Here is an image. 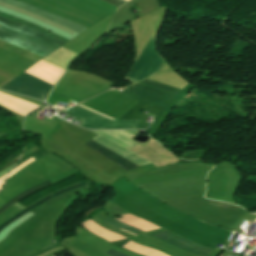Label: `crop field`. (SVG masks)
<instances>
[{
	"label": "crop field",
	"instance_id": "obj_1",
	"mask_svg": "<svg viewBox=\"0 0 256 256\" xmlns=\"http://www.w3.org/2000/svg\"><path fill=\"white\" fill-rule=\"evenodd\" d=\"M180 91L181 89L146 79L118 94L163 107Z\"/></svg>",
	"mask_w": 256,
	"mask_h": 256
},
{
	"label": "crop field",
	"instance_id": "obj_2",
	"mask_svg": "<svg viewBox=\"0 0 256 256\" xmlns=\"http://www.w3.org/2000/svg\"><path fill=\"white\" fill-rule=\"evenodd\" d=\"M0 20L1 21H3V22H6V23H8V24H11V25H13V26H15V27H18V28H20V29H22V30H25V31H27V32H29V33H32V34H34V35H37V36H39V37H41V38H44V39H46V40H48V41H51V42H53V43H56V44H58V45H60V46H62V45H64V43H62V42H60V41H57V40H55V39H53V38H50V37H48V36H45V35H43V34H41V33H38V32H36V31H34V30H31V29H29V28H27V27H24V26H22V25H19V24H17V23H15V22H12V21H10V20H8V19H5V18H3V17H1L0 16ZM0 21V25H2V26H4V27H7V28H9V29H12V30H14V31H17V32H19V33H22V34H24V35H27V36H29V37H31V38H34V39H36V40H39V41H41V42H44V43H46V44H49V45H51V46H54V47H56V48H59L60 46H58V45H56V44H53V43H51V42H48V41H46V40H44V39H41V38H39V37H37V36H34V35H32V34H29V33H27V32H25V31H22V30H20V29H18V28H15V27H13V26H11V25H8V24H6V23H3V22H1ZM2 26H0V29L1 30H4V31H6V32H8V33H11V34H13V35H16V36H18V37H21V38H23V39H26V40H28V41H30V42H33V43H35V44H38V45H40V46H43V47H45V48H47V49H50V50H52V51H54V50H56V48H54V47H51V46H49V45H46V44H44V43H41V42H39V41H36V40H34V39H31V38H29V37H27V36H24V35H22V34H19V33H17V32H14V31H12V30H9V29H7V28H4V27H2ZM0 30V31H1ZM4 31H2V32H4ZM1 32V33H2ZM6 32H4V33H6ZM0 33V34H1ZM3 33V34H4ZM8 33H6V34H8ZM2 34V35H3ZM5 34V35H6ZM11 34H9V35H11ZM2 35H0V39L1 40H3V41H6V42H8V43H11V44H13V45H16V46H18V47H21V48H23V49H26V50H28V51H31V52H33V53H36V54H38V55H41V56H43V57H45V56H47L50 52H52V51H50V50H48V51H50L48 54H46V53H43L45 50H47V49H45V48H43V47H41V48H43V49H45L43 52H41V51H39V50H36L38 47H40V46H38V45H36V46H38L36 49H34V48H31L33 45H35V44H33V43H31V44H33L31 47H29V46H26L28 43H30V42H28V41H26V42H28L26 45H24V44H21V43H19L21 40H23V39H21V38H19V39H21L19 42H17V41H14L16 38H18V37H16V36H14V37H16L14 40H12V39H9L11 36H13V35H11L9 38H7V37H4V36H2ZM25 41V40H24Z\"/></svg>",
	"mask_w": 256,
	"mask_h": 256
},
{
	"label": "crop field",
	"instance_id": "obj_3",
	"mask_svg": "<svg viewBox=\"0 0 256 256\" xmlns=\"http://www.w3.org/2000/svg\"><path fill=\"white\" fill-rule=\"evenodd\" d=\"M81 106V105H79ZM76 106L72 109L65 111L66 113L84 120L83 123L79 126L87 129H139L138 120L134 121H112L106 117H103L95 112L89 111L87 109ZM83 107V106H82ZM91 110V109H90ZM105 116V115H104Z\"/></svg>",
	"mask_w": 256,
	"mask_h": 256
},
{
	"label": "crop field",
	"instance_id": "obj_4",
	"mask_svg": "<svg viewBox=\"0 0 256 256\" xmlns=\"http://www.w3.org/2000/svg\"><path fill=\"white\" fill-rule=\"evenodd\" d=\"M163 63V59L156 52L153 36L132 66L128 78L133 84L139 82L157 72Z\"/></svg>",
	"mask_w": 256,
	"mask_h": 256
},
{
	"label": "crop field",
	"instance_id": "obj_5",
	"mask_svg": "<svg viewBox=\"0 0 256 256\" xmlns=\"http://www.w3.org/2000/svg\"><path fill=\"white\" fill-rule=\"evenodd\" d=\"M51 87L52 84L24 72L1 89L44 100Z\"/></svg>",
	"mask_w": 256,
	"mask_h": 256
},
{
	"label": "crop field",
	"instance_id": "obj_6",
	"mask_svg": "<svg viewBox=\"0 0 256 256\" xmlns=\"http://www.w3.org/2000/svg\"><path fill=\"white\" fill-rule=\"evenodd\" d=\"M0 2L8 4V5L13 6V7H16L20 10L26 11L28 13H31V14L36 15L38 17H41L43 19H46V20H48V21H50L54 24H57V25L62 26L64 28L70 29V30L75 31L77 33H81L83 30L86 29V28H84L80 25H77V24L73 23V22H70L68 20H65L63 18H60V17L52 15V14L46 13V12L41 11L39 9H36V8L30 6V5L21 3L17 0H0Z\"/></svg>",
	"mask_w": 256,
	"mask_h": 256
},
{
	"label": "crop field",
	"instance_id": "obj_7",
	"mask_svg": "<svg viewBox=\"0 0 256 256\" xmlns=\"http://www.w3.org/2000/svg\"><path fill=\"white\" fill-rule=\"evenodd\" d=\"M85 145L89 146L90 148H92L95 151L99 152L100 154L104 155L105 157H107L108 159H110L111 161H113L114 163H116L118 166H120L121 168H123L126 171L138 167V166L134 165L133 163H131L130 161L114 154L113 152H111V151L105 149L104 147L100 146L99 144L93 142L92 140Z\"/></svg>",
	"mask_w": 256,
	"mask_h": 256
},
{
	"label": "crop field",
	"instance_id": "obj_8",
	"mask_svg": "<svg viewBox=\"0 0 256 256\" xmlns=\"http://www.w3.org/2000/svg\"><path fill=\"white\" fill-rule=\"evenodd\" d=\"M48 185H50V182L47 180V181H45V182H43V183H41V184H39V185H37V186H35L33 188H30V189L20 193L19 195H17L16 197L12 198L7 203H5L3 206H1L0 207V213L2 211H4L6 208H8L10 205H12L14 202H16L18 199H20V198H22V197H24V196H26V195L36 191V190H38V189H40L42 187L48 186Z\"/></svg>",
	"mask_w": 256,
	"mask_h": 256
},
{
	"label": "crop field",
	"instance_id": "obj_9",
	"mask_svg": "<svg viewBox=\"0 0 256 256\" xmlns=\"http://www.w3.org/2000/svg\"><path fill=\"white\" fill-rule=\"evenodd\" d=\"M49 199H51V195H49V196L46 197L45 199H43V200H41V201L35 203L34 205L28 207L27 209H25V210L22 211L21 213L15 215L14 217L8 219L6 222H4V223L0 226V231H1L7 224H9L10 222H12V221L15 220L16 218L20 217L21 215H23L24 213H26V212L29 211L30 209H32V208L38 206L39 204H41V203H43V202H45V201H47V200H49Z\"/></svg>",
	"mask_w": 256,
	"mask_h": 256
},
{
	"label": "crop field",
	"instance_id": "obj_10",
	"mask_svg": "<svg viewBox=\"0 0 256 256\" xmlns=\"http://www.w3.org/2000/svg\"><path fill=\"white\" fill-rule=\"evenodd\" d=\"M103 222H105V223H107V224H110V225H112V226H115V227H117V228H119V229L124 228V229L129 230V231H131V232H134V233H136V234L139 233V231H137V230H135V229H133V228H130V227H128V226L122 225V224H120V223H118V222H116V221H114V220H112V219H110V218L104 220ZM124 229H122V230H124ZM126 230H125V231H126ZM129 231H127V232H129ZM131 232H130V233H131ZM134 233H132V234H134ZM136 234H134V235H136Z\"/></svg>",
	"mask_w": 256,
	"mask_h": 256
},
{
	"label": "crop field",
	"instance_id": "obj_11",
	"mask_svg": "<svg viewBox=\"0 0 256 256\" xmlns=\"http://www.w3.org/2000/svg\"><path fill=\"white\" fill-rule=\"evenodd\" d=\"M87 182H88V181H85V182L76 184V185H74V186H71V187H69V188H66V189H64V190L55 192V193H53V197H55V196H57V195H59V194H61V193H64V192H66V191H68V190L75 189V188H78V187H81V186H85V185H89V183H87Z\"/></svg>",
	"mask_w": 256,
	"mask_h": 256
},
{
	"label": "crop field",
	"instance_id": "obj_12",
	"mask_svg": "<svg viewBox=\"0 0 256 256\" xmlns=\"http://www.w3.org/2000/svg\"><path fill=\"white\" fill-rule=\"evenodd\" d=\"M99 1H102V2H104V3H107V4L111 5V6L116 7V8L119 7L120 5H123V4H124V2L121 1V0H111V1H113V2H116V3L120 4V5H118V4H116V3H113V2H111V1H108V0H99Z\"/></svg>",
	"mask_w": 256,
	"mask_h": 256
},
{
	"label": "crop field",
	"instance_id": "obj_13",
	"mask_svg": "<svg viewBox=\"0 0 256 256\" xmlns=\"http://www.w3.org/2000/svg\"><path fill=\"white\" fill-rule=\"evenodd\" d=\"M20 155H21V154H20ZM20 155H19V156H20ZM19 156H17L16 158H14V159H13L12 161H10L8 164L2 166V167L0 168V171L6 169V168H8L9 166H11L12 164L16 163V161H17V159L19 158Z\"/></svg>",
	"mask_w": 256,
	"mask_h": 256
},
{
	"label": "crop field",
	"instance_id": "obj_14",
	"mask_svg": "<svg viewBox=\"0 0 256 256\" xmlns=\"http://www.w3.org/2000/svg\"><path fill=\"white\" fill-rule=\"evenodd\" d=\"M107 254L112 255V256H125V255H123V254L117 253V252L112 251V250H110L109 252H107Z\"/></svg>",
	"mask_w": 256,
	"mask_h": 256
}]
</instances>
